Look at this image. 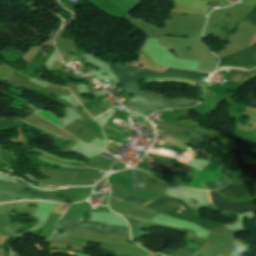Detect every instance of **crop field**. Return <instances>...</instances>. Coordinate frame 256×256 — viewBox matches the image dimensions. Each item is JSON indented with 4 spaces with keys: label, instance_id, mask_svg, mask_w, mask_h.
<instances>
[{
    "label": "crop field",
    "instance_id": "3",
    "mask_svg": "<svg viewBox=\"0 0 256 256\" xmlns=\"http://www.w3.org/2000/svg\"><path fill=\"white\" fill-rule=\"evenodd\" d=\"M219 66H232V67H241L251 69L256 66V44L243 50L232 54L227 57L219 58ZM232 67H219L218 70L223 68H232ZM237 68V69H241Z\"/></svg>",
    "mask_w": 256,
    "mask_h": 256
},
{
    "label": "crop field",
    "instance_id": "6",
    "mask_svg": "<svg viewBox=\"0 0 256 256\" xmlns=\"http://www.w3.org/2000/svg\"><path fill=\"white\" fill-rule=\"evenodd\" d=\"M101 226H107V229L102 230ZM76 230L80 231H91V232H102V233H121V234H129L128 228L86 220L84 219L83 222L76 228Z\"/></svg>",
    "mask_w": 256,
    "mask_h": 256
},
{
    "label": "crop field",
    "instance_id": "11",
    "mask_svg": "<svg viewBox=\"0 0 256 256\" xmlns=\"http://www.w3.org/2000/svg\"><path fill=\"white\" fill-rule=\"evenodd\" d=\"M176 202L167 199V198H157L156 200L152 201L146 206H149L151 208H154L160 212H163L167 209L175 207Z\"/></svg>",
    "mask_w": 256,
    "mask_h": 256
},
{
    "label": "crop field",
    "instance_id": "8",
    "mask_svg": "<svg viewBox=\"0 0 256 256\" xmlns=\"http://www.w3.org/2000/svg\"><path fill=\"white\" fill-rule=\"evenodd\" d=\"M150 165L158 167V168L162 169L163 171L170 172V173H174L175 171H183L190 175L192 170H194L191 167L184 166V165H181L176 162H171V161L157 159V158H153ZM160 169H158V170H160Z\"/></svg>",
    "mask_w": 256,
    "mask_h": 256
},
{
    "label": "crop field",
    "instance_id": "9",
    "mask_svg": "<svg viewBox=\"0 0 256 256\" xmlns=\"http://www.w3.org/2000/svg\"><path fill=\"white\" fill-rule=\"evenodd\" d=\"M99 170L83 167L81 172L78 173L76 178L72 181L70 186H78V185H92L91 183L94 180H98ZM95 182V181H94Z\"/></svg>",
    "mask_w": 256,
    "mask_h": 256
},
{
    "label": "crop field",
    "instance_id": "1",
    "mask_svg": "<svg viewBox=\"0 0 256 256\" xmlns=\"http://www.w3.org/2000/svg\"><path fill=\"white\" fill-rule=\"evenodd\" d=\"M111 70L119 80L123 90L127 94L136 95L141 90L138 82L145 79L157 78H183L188 80L200 81L207 73L193 72L188 70H180L169 68L165 73L152 72L148 69L137 68L130 65H111Z\"/></svg>",
    "mask_w": 256,
    "mask_h": 256
},
{
    "label": "crop field",
    "instance_id": "10",
    "mask_svg": "<svg viewBox=\"0 0 256 256\" xmlns=\"http://www.w3.org/2000/svg\"><path fill=\"white\" fill-rule=\"evenodd\" d=\"M253 77H255L253 70L251 71L228 70L226 79L233 82L244 83L246 80Z\"/></svg>",
    "mask_w": 256,
    "mask_h": 256
},
{
    "label": "crop field",
    "instance_id": "15",
    "mask_svg": "<svg viewBox=\"0 0 256 256\" xmlns=\"http://www.w3.org/2000/svg\"><path fill=\"white\" fill-rule=\"evenodd\" d=\"M110 197L121 199V200H125V201H130V202L141 203V204L146 202V201H148V200H145L143 198L132 196V195L121 193V192L113 193V194L110 195Z\"/></svg>",
    "mask_w": 256,
    "mask_h": 256
},
{
    "label": "crop field",
    "instance_id": "4",
    "mask_svg": "<svg viewBox=\"0 0 256 256\" xmlns=\"http://www.w3.org/2000/svg\"><path fill=\"white\" fill-rule=\"evenodd\" d=\"M247 179V178H246ZM243 176L234 183L217 190L221 195L230 198H237L243 194L250 196L252 190L256 188V183L246 180Z\"/></svg>",
    "mask_w": 256,
    "mask_h": 256
},
{
    "label": "crop field",
    "instance_id": "16",
    "mask_svg": "<svg viewBox=\"0 0 256 256\" xmlns=\"http://www.w3.org/2000/svg\"><path fill=\"white\" fill-rule=\"evenodd\" d=\"M243 21L249 22L256 26V13H254V9L243 19Z\"/></svg>",
    "mask_w": 256,
    "mask_h": 256
},
{
    "label": "crop field",
    "instance_id": "2",
    "mask_svg": "<svg viewBox=\"0 0 256 256\" xmlns=\"http://www.w3.org/2000/svg\"><path fill=\"white\" fill-rule=\"evenodd\" d=\"M125 95L126 103L124 106L143 116H148L160 109L188 106L199 102L197 98L195 100H186L185 98L166 99L164 96L150 91L140 92L132 98H129L127 94Z\"/></svg>",
    "mask_w": 256,
    "mask_h": 256
},
{
    "label": "crop field",
    "instance_id": "7",
    "mask_svg": "<svg viewBox=\"0 0 256 256\" xmlns=\"http://www.w3.org/2000/svg\"><path fill=\"white\" fill-rule=\"evenodd\" d=\"M78 220L79 218L76 217L63 216L55 229L54 236L51 238L73 239V232L80 223ZM59 229L64 230L65 233L60 235L58 233Z\"/></svg>",
    "mask_w": 256,
    "mask_h": 256
},
{
    "label": "crop field",
    "instance_id": "18",
    "mask_svg": "<svg viewBox=\"0 0 256 256\" xmlns=\"http://www.w3.org/2000/svg\"><path fill=\"white\" fill-rule=\"evenodd\" d=\"M191 256H206V255H204V254H201V253H199V252H195L194 254H192Z\"/></svg>",
    "mask_w": 256,
    "mask_h": 256
},
{
    "label": "crop field",
    "instance_id": "19",
    "mask_svg": "<svg viewBox=\"0 0 256 256\" xmlns=\"http://www.w3.org/2000/svg\"><path fill=\"white\" fill-rule=\"evenodd\" d=\"M206 193H207L208 201H209V203H211V202H210V198H209V195H208V192L206 191Z\"/></svg>",
    "mask_w": 256,
    "mask_h": 256
},
{
    "label": "crop field",
    "instance_id": "13",
    "mask_svg": "<svg viewBox=\"0 0 256 256\" xmlns=\"http://www.w3.org/2000/svg\"><path fill=\"white\" fill-rule=\"evenodd\" d=\"M128 171L132 188H142L143 181L140 175V171L135 168H129Z\"/></svg>",
    "mask_w": 256,
    "mask_h": 256
},
{
    "label": "crop field",
    "instance_id": "12",
    "mask_svg": "<svg viewBox=\"0 0 256 256\" xmlns=\"http://www.w3.org/2000/svg\"><path fill=\"white\" fill-rule=\"evenodd\" d=\"M230 171L231 170L224 171L221 179L213 183L205 184V190H217L223 187L224 185L230 183Z\"/></svg>",
    "mask_w": 256,
    "mask_h": 256
},
{
    "label": "crop field",
    "instance_id": "14",
    "mask_svg": "<svg viewBox=\"0 0 256 256\" xmlns=\"http://www.w3.org/2000/svg\"><path fill=\"white\" fill-rule=\"evenodd\" d=\"M18 198V191L11 188H0V202L13 201Z\"/></svg>",
    "mask_w": 256,
    "mask_h": 256
},
{
    "label": "crop field",
    "instance_id": "17",
    "mask_svg": "<svg viewBox=\"0 0 256 256\" xmlns=\"http://www.w3.org/2000/svg\"><path fill=\"white\" fill-rule=\"evenodd\" d=\"M137 6L141 3V0H132ZM131 0H126V2L136 6ZM136 6V7H137Z\"/></svg>",
    "mask_w": 256,
    "mask_h": 256
},
{
    "label": "crop field",
    "instance_id": "5",
    "mask_svg": "<svg viewBox=\"0 0 256 256\" xmlns=\"http://www.w3.org/2000/svg\"><path fill=\"white\" fill-rule=\"evenodd\" d=\"M210 194L213 203L219 210L234 213L256 210V207L253 205V203L247 202L245 204H234L232 202H224L223 198L218 194L217 191H211Z\"/></svg>",
    "mask_w": 256,
    "mask_h": 256
}]
</instances>
